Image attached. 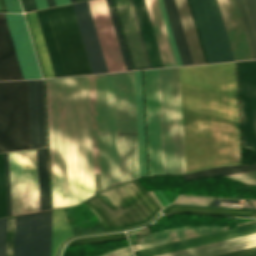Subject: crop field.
Here are the masks:
<instances>
[{"mask_svg":"<svg viewBox=\"0 0 256 256\" xmlns=\"http://www.w3.org/2000/svg\"><path fill=\"white\" fill-rule=\"evenodd\" d=\"M159 3H160V6H161V10H162V13H163V17H164V20H165L166 27H167V30H168V34H169V37H170L172 48H173V51H174V54H175L177 65L180 66L182 64H181V60H180L179 53H178V50H177V46H176V43H175V39H174V36H173V32H172V29H171V25H170V22H169V19H168V15H167V12H166L164 1L159 0Z\"/></svg>","mask_w":256,"mask_h":256,"instance_id":"b54c1fbb","label":"crop field"},{"mask_svg":"<svg viewBox=\"0 0 256 256\" xmlns=\"http://www.w3.org/2000/svg\"><path fill=\"white\" fill-rule=\"evenodd\" d=\"M112 254H113V256H131L130 250H129L128 246L122 247V248H118V249L112 251ZM101 256H112V255L109 252V253H106V254L101 255Z\"/></svg>","mask_w":256,"mask_h":256,"instance_id":"dbb93151","label":"crop field"},{"mask_svg":"<svg viewBox=\"0 0 256 256\" xmlns=\"http://www.w3.org/2000/svg\"><path fill=\"white\" fill-rule=\"evenodd\" d=\"M77 1H79V0H77Z\"/></svg>","mask_w":256,"mask_h":256,"instance_id":"0f1d7ab4","label":"crop field"},{"mask_svg":"<svg viewBox=\"0 0 256 256\" xmlns=\"http://www.w3.org/2000/svg\"><path fill=\"white\" fill-rule=\"evenodd\" d=\"M165 67L177 66L158 0H146Z\"/></svg>","mask_w":256,"mask_h":256,"instance_id":"a9b5d70f","label":"crop field"},{"mask_svg":"<svg viewBox=\"0 0 256 256\" xmlns=\"http://www.w3.org/2000/svg\"><path fill=\"white\" fill-rule=\"evenodd\" d=\"M150 175L164 174L158 69L144 71Z\"/></svg>","mask_w":256,"mask_h":256,"instance_id":"3316defc","label":"crop field"},{"mask_svg":"<svg viewBox=\"0 0 256 256\" xmlns=\"http://www.w3.org/2000/svg\"><path fill=\"white\" fill-rule=\"evenodd\" d=\"M29 148L27 81L0 82V152Z\"/></svg>","mask_w":256,"mask_h":256,"instance_id":"412701ff","label":"crop field"},{"mask_svg":"<svg viewBox=\"0 0 256 256\" xmlns=\"http://www.w3.org/2000/svg\"><path fill=\"white\" fill-rule=\"evenodd\" d=\"M129 48L134 69H145L147 63L142 50L134 18L128 0H114Z\"/></svg>","mask_w":256,"mask_h":256,"instance_id":"733c2abd","label":"crop field"},{"mask_svg":"<svg viewBox=\"0 0 256 256\" xmlns=\"http://www.w3.org/2000/svg\"><path fill=\"white\" fill-rule=\"evenodd\" d=\"M228 227H212V226H194V227H178L166 231L153 233L142 237L140 243L132 245L133 251L153 247L165 243H170L182 239L200 236L212 232L225 230Z\"/></svg>","mask_w":256,"mask_h":256,"instance_id":"4a817a6b","label":"crop field"},{"mask_svg":"<svg viewBox=\"0 0 256 256\" xmlns=\"http://www.w3.org/2000/svg\"><path fill=\"white\" fill-rule=\"evenodd\" d=\"M255 212L256 211L193 208V207H170V208L166 209L164 214L192 213V214H209V215L251 217Z\"/></svg>","mask_w":256,"mask_h":256,"instance_id":"028f5c9d","label":"crop field"},{"mask_svg":"<svg viewBox=\"0 0 256 256\" xmlns=\"http://www.w3.org/2000/svg\"><path fill=\"white\" fill-rule=\"evenodd\" d=\"M39 147L46 146L42 80L35 81Z\"/></svg>","mask_w":256,"mask_h":256,"instance_id":"0bd39190","label":"crop field"},{"mask_svg":"<svg viewBox=\"0 0 256 256\" xmlns=\"http://www.w3.org/2000/svg\"><path fill=\"white\" fill-rule=\"evenodd\" d=\"M47 2H48V6H49V7L56 6L54 0H47Z\"/></svg>","mask_w":256,"mask_h":256,"instance_id":"0765c3eb","label":"crop field"},{"mask_svg":"<svg viewBox=\"0 0 256 256\" xmlns=\"http://www.w3.org/2000/svg\"><path fill=\"white\" fill-rule=\"evenodd\" d=\"M243 147L256 151V60L238 62Z\"/></svg>","mask_w":256,"mask_h":256,"instance_id":"28ad6ade","label":"crop field"},{"mask_svg":"<svg viewBox=\"0 0 256 256\" xmlns=\"http://www.w3.org/2000/svg\"><path fill=\"white\" fill-rule=\"evenodd\" d=\"M24 79L41 78L23 15L5 14Z\"/></svg>","mask_w":256,"mask_h":256,"instance_id":"22f410ed","label":"crop field"},{"mask_svg":"<svg viewBox=\"0 0 256 256\" xmlns=\"http://www.w3.org/2000/svg\"><path fill=\"white\" fill-rule=\"evenodd\" d=\"M52 210L16 216L14 256H50Z\"/></svg>","mask_w":256,"mask_h":256,"instance_id":"5a996713","label":"crop field"},{"mask_svg":"<svg viewBox=\"0 0 256 256\" xmlns=\"http://www.w3.org/2000/svg\"><path fill=\"white\" fill-rule=\"evenodd\" d=\"M32 148L38 147L34 81H28Z\"/></svg>","mask_w":256,"mask_h":256,"instance_id":"b80d0937","label":"crop field"},{"mask_svg":"<svg viewBox=\"0 0 256 256\" xmlns=\"http://www.w3.org/2000/svg\"><path fill=\"white\" fill-rule=\"evenodd\" d=\"M55 1L57 6L70 3L69 0H55Z\"/></svg>","mask_w":256,"mask_h":256,"instance_id":"447ae74e","label":"crop field"},{"mask_svg":"<svg viewBox=\"0 0 256 256\" xmlns=\"http://www.w3.org/2000/svg\"><path fill=\"white\" fill-rule=\"evenodd\" d=\"M89 84H90L91 118H92V134H93L94 168H95V176H97V175H100V167H99L94 75L89 76ZM95 186H96V193L100 192L101 191L100 176L95 177Z\"/></svg>","mask_w":256,"mask_h":256,"instance_id":"120bbe31","label":"crop field"},{"mask_svg":"<svg viewBox=\"0 0 256 256\" xmlns=\"http://www.w3.org/2000/svg\"><path fill=\"white\" fill-rule=\"evenodd\" d=\"M251 203L254 205V207L256 208V201L250 200Z\"/></svg>","mask_w":256,"mask_h":256,"instance_id":"db79e9e6","label":"crop field"},{"mask_svg":"<svg viewBox=\"0 0 256 256\" xmlns=\"http://www.w3.org/2000/svg\"><path fill=\"white\" fill-rule=\"evenodd\" d=\"M140 177L147 175L141 71L134 72Z\"/></svg>","mask_w":256,"mask_h":256,"instance_id":"730fd06b","label":"crop field"},{"mask_svg":"<svg viewBox=\"0 0 256 256\" xmlns=\"http://www.w3.org/2000/svg\"><path fill=\"white\" fill-rule=\"evenodd\" d=\"M213 198L196 197V196H180L174 204L200 205L207 206Z\"/></svg>","mask_w":256,"mask_h":256,"instance_id":"5d738f31","label":"crop field"},{"mask_svg":"<svg viewBox=\"0 0 256 256\" xmlns=\"http://www.w3.org/2000/svg\"><path fill=\"white\" fill-rule=\"evenodd\" d=\"M12 215L23 213L20 151L9 153Z\"/></svg>","mask_w":256,"mask_h":256,"instance_id":"ae1a2a85","label":"crop field"},{"mask_svg":"<svg viewBox=\"0 0 256 256\" xmlns=\"http://www.w3.org/2000/svg\"><path fill=\"white\" fill-rule=\"evenodd\" d=\"M119 74V73H118ZM128 130H136L133 73L124 74ZM118 131H126L123 74L115 75ZM136 131L118 132L132 133ZM131 178L139 175L137 133L128 134ZM121 182L129 179L126 134L118 135ZM139 177V176H138ZM135 177V178H138ZM132 178V179H135ZM130 179V180H132Z\"/></svg>","mask_w":256,"mask_h":256,"instance_id":"e52e79f7","label":"crop field"},{"mask_svg":"<svg viewBox=\"0 0 256 256\" xmlns=\"http://www.w3.org/2000/svg\"><path fill=\"white\" fill-rule=\"evenodd\" d=\"M5 216H7V209H6L4 161H3V153H0V217H5Z\"/></svg>","mask_w":256,"mask_h":256,"instance_id":"03da06ac","label":"crop field"},{"mask_svg":"<svg viewBox=\"0 0 256 256\" xmlns=\"http://www.w3.org/2000/svg\"><path fill=\"white\" fill-rule=\"evenodd\" d=\"M35 1L38 9L48 7L46 0H35Z\"/></svg>","mask_w":256,"mask_h":256,"instance_id":"9d1cf04e","label":"crop field"},{"mask_svg":"<svg viewBox=\"0 0 256 256\" xmlns=\"http://www.w3.org/2000/svg\"><path fill=\"white\" fill-rule=\"evenodd\" d=\"M84 203L98 217L105 231L145 223L160 210L137 180L112 187Z\"/></svg>","mask_w":256,"mask_h":256,"instance_id":"34b2d1b8","label":"crop field"},{"mask_svg":"<svg viewBox=\"0 0 256 256\" xmlns=\"http://www.w3.org/2000/svg\"><path fill=\"white\" fill-rule=\"evenodd\" d=\"M46 11L65 75L92 73L72 5L69 4Z\"/></svg>","mask_w":256,"mask_h":256,"instance_id":"dd49c442","label":"crop field"},{"mask_svg":"<svg viewBox=\"0 0 256 256\" xmlns=\"http://www.w3.org/2000/svg\"><path fill=\"white\" fill-rule=\"evenodd\" d=\"M76 0H70V2L72 3V2H75Z\"/></svg>","mask_w":256,"mask_h":256,"instance_id":"78b8030e","label":"crop field"},{"mask_svg":"<svg viewBox=\"0 0 256 256\" xmlns=\"http://www.w3.org/2000/svg\"><path fill=\"white\" fill-rule=\"evenodd\" d=\"M124 238H126L124 232H120V233H112V234L78 238L76 240L71 241L68 244L70 246L75 244H94V243H103L107 241L124 239Z\"/></svg>","mask_w":256,"mask_h":256,"instance_id":"c21b1889","label":"crop field"},{"mask_svg":"<svg viewBox=\"0 0 256 256\" xmlns=\"http://www.w3.org/2000/svg\"><path fill=\"white\" fill-rule=\"evenodd\" d=\"M218 256H256V247L235 251L227 254H222Z\"/></svg>","mask_w":256,"mask_h":256,"instance_id":"1f2cbd36","label":"crop field"},{"mask_svg":"<svg viewBox=\"0 0 256 256\" xmlns=\"http://www.w3.org/2000/svg\"><path fill=\"white\" fill-rule=\"evenodd\" d=\"M27 15H28V19H29V22H30V25H31V29H32V32H33L35 43H36V46H37V49H38V53H39V56H40L42 67H43V70H44V73H45V77L46 78L54 77L52 69H51V65H50V62H49V58H48V55H47V51H46V48H45V45H44V41H43V38H42V34H41V31H40V27H39V24H38V20H37V17H36V13L33 12V13H29Z\"/></svg>","mask_w":256,"mask_h":256,"instance_id":"5866460e","label":"crop field"},{"mask_svg":"<svg viewBox=\"0 0 256 256\" xmlns=\"http://www.w3.org/2000/svg\"><path fill=\"white\" fill-rule=\"evenodd\" d=\"M235 60L253 59L236 0H218Z\"/></svg>","mask_w":256,"mask_h":256,"instance_id":"5142ce71","label":"crop field"},{"mask_svg":"<svg viewBox=\"0 0 256 256\" xmlns=\"http://www.w3.org/2000/svg\"><path fill=\"white\" fill-rule=\"evenodd\" d=\"M53 209L95 194L88 76L46 80Z\"/></svg>","mask_w":256,"mask_h":256,"instance_id":"ac0d7876","label":"crop field"},{"mask_svg":"<svg viewBox=\"0 0 256 256\" xmlns=\"http://www.w3.org/2000/svg\"><path fill=\"white\" fill-rule=\"evenodd\" d=\"M5 4L8 12H22L19 0H5ZM5 4L3 0H0V12H7Z\"/></svg>","mask_w":256,"mask_h":256,"instance_id":"73cf0c24","label":"crop field"},{"mask_svg":"<svg viewBox=\"0 0 256 256\" xmlns=\"http://www.w3.org/2000/svg\"><path fill=\"white\" fill-rule=\"evenodd\" d=\"M165 174L184 173L178 68L160 69Z\"/></svg>","mask_w":256,"mask_h":256,"instance_id":"f4fd0767","label":"crop field"},{"mask_svg":"<svg viewBox=\"0 0 256 256\" xmlns=\"http://www.w3.org/2000/svg\"><path fill=\"white\" fill-rule=\"evenodd\" d=\"M106 2H107V6H108V9H109V12H110V16H111V19H112V22H113L114 29H115V32H116V36H117V39H118V42H119V46H120V49H121V52H122V56H123V59H124V62H125L126 69L127 70H132L129 59H128V55H127V52H126V48H125V45H124V42H123V38H122V35H121V31H120V28H119V24H118V21H117V18H116V14H115V11H114L112 1L111 0H106Z\"/></svg>","mask_w":256,"mask_h":256,"instance_id":"c035e120","label":"crop field"},{"mask_svg":"<svg viewBox=\"0 0 256 256\" xmlns=\"http://www.w3.org/2000/svg\"><path fill=\"white\" fill-rule=\"evenodd\" d=\"M152 68L164 67L145 0H132Z\"/></svg>","mask_w":256,"mask_h":256,"instance_id":"00972430","label":"crop field"},{"mask_svg":"<svg viewBox=\"0 0 256 256\" xmlns=\"http://www.w3.org/2000/svg\"><path fill=\"white\" fill-rule=\"evenodd\" d=\"M253 246H256V234H251L160 256H213Z\"/></svg>","mask_w":256,"mask_h":256,"instance_id":"dafd665d","label":"crop field"},{"mask_svg":"<svg viewBox=\"0 0 256 256\" xmlns=\"http://www.w3.org/2000/svg\"><path fill=\"white\" fill-rule=\"evenodd\" d=\"M7 218L0 219V256L6 254Z\"/></svg>","mask_w":256,"mask_h":256,"instance_id":"25e5ab78","label":"crop field"},{"mask_svg":"<svg viewBox=\"0 0 256 256\" xmlns=\"http://www.w3.org/2000/svg\"><path fill=\"white\" fill-rule=\"evenodd\" d=\"M253 58L256 59V0H237Z\"/></svg>","mask_w":256,"mask_h":256,"instance_id":"bd1437ed","label":"crop field"},{"mask_svg":"<svg viewBox=\"0 0 256 256\" xmlns=\"http://www.w3.org/2000/svg\"><path fill=\"white\" fill-rule=\"evenodd\" d=\"M186 39L194 64L205 63L194 28L187 0H176Z\"/></svg>","mask_w":256,"mask_h":256,"instance_id":"eef30255","label":"crop field"},{"mask_svg":"<svg viewBox=\"0 0 256 256\" xmlns=\"http://www.w3.org/2000/svg\"><path fill=\"white\" fill-rule=\"evenodd\" d=\"M256 170V164L252 165H237V166H224V167H217L207 170H202L198 172L184 174V179H194L200 177H211V176H219V175H226L244 171Z\"/></svg>","mask_w":256,"mask_h":256,"instance_id":"e1f06a70","label":"crop field"},{"mask_svg":"<svg viewBox=\"0 0 256 256\" xmlns=\"http://www.w3.org/2000/svg\"><path fill=\"white\" fill-rule=\"evenodd\" d=\"M227 177H230L248 184L256 185V171L244 172V173H239L234 175H227Z\"/></svg>","mask_w":256,"mask_h":256,"instance_id":"425ffa30","label":"crop field"},{"mask_svg":"<svg viewBox=\"0 0 256 256\" xmlns=\"http://www.w3.org/2000/svg\"><path fill=\"white\" fill-rule=\"evenodd\" d=\"M71 236L64 209L53 210L51 256H55L59 244Z\"/></svg>","mask_w":256,"mask_h":256,"instance_id":"1d83c4d3","label":"crop field"},{"mask_svg":"<svg viewBox=\"0 0 256 256\" xmlns=\"http://www.w3.org/2000/svg\"><path fill=\"white\" fill-rule=\"evenodd\" d=\"M185 173L241 164L235 62L179 68Z\"/></svg>","mask_w":256,"mask_h":256,"instance_id":"8a807250","label":"crop field"},{"mask_svg":"<svg viewBox=\"0 0 256 256\" xmlns=\"http://www.w3.org/2000/svg\"><path fill=\"white\" fill-rule=\"evenodd\" d=\"M23 4L26 12L34 10L31 0H23Z\"/></svg>","mask_w":256,"mask_h":256,"instance_id":"1d79db26","label":"crop field"},{"mask_svg":"<svg viewBox=\"0 0 256 256\" xmlns=\"http://www.w3.org/2000/svg\"><path fill=\"white\" fill-rule=\"evenodd\" d=\"M32 2H33V5H34V9L36 10L37 8H36L35 1H34V0H32Z\"/></svg>","mask_w":256,"mask_h":256,"instance_id":"7b73153f","label":"crop field"},{"mask_svg":"<svg viewBox=\"0 0 256 256\" xmlns=\"http://www.w3.org/2000/svg\"><path fill=\"white\" fill-rule=\"evenodd\" d=\"M256 233V224L243 226L239 228L229 229L224 232L215 233L207 236L184 240L176 243L153 247L145 250L136 251L135 256H156L238 236Z\"/></svg>","mask_w":256,"mask_h":256,"instance_id":"d9b57169","label":"crop field"},{"mask_svg":"<svg viewBox=\"0 0 256 256\" xmlns=\"http://www.w3.org/2000/svg\"><path fill=\"white\" fill-rule=\"evenodd\" d=\"M183 65L193 64L175 0H164Z\"/></svg>","mask_w":256,"mask_h":256,"instance_id":"d3111659","label":"crop field"},{"mask_svg":"<svg viewBox=\"0 0 256 256\" xmlns=\"http://www.w3.org/2000/svg\"><path fill=\"white\" fill-rule=\"evenodd\" d=\"M14 228H15V216L8 218V230H7V255L13 256L14 252Z\"/></svg>","mask_w":256,"mask_h":256,"instance_id":"d23c7cc5","label":"crop field"},{"mask_svg":"<svg viewBox=\"0 0 256 256\" xmlns=\"http://www.w3.org/2000/svg\"><path fill=\"white\" fill-rule=\"evenodd\" d=\"M24 213L39 210L36 150L21 151Z\"/></svg>","mask_w":256,"mask_h":256,"instance_id":"bc2a9ffb","label":"crop field"},{"mask_svg":"<svg viewBox=\"0 0 256 256\" xmlns=\"http://www.w3.org/2000/svg\"><path fill=\"white\" fill-rule=\"evenodd\" d=\"M99 75H104V74H99ZM95 76H97V75H95ZM101 85H102V104H103V124H104V133H106V132H108V130H107V114H106V98H105L104 76H101ZM96 86H97V105H98L99 133H102L99 76L96 77ZM100 135H108V133H106V134H99V136ZM104 144H105L106 178H107V186H108V185H111L108 136H104ZM99 145H100L101 181H102V188H104L105 187V179L106 178L104 179V162H103L102 136L99 137ZM108 187H110V186H108ZM108 187H106V188H108Z\"/></svg>","mask_w":256,"mask_h":256,"instance_id":"4177f3b9","label":"crop field"},{"mask_svg":"<svg viewBox=\"0 0 256 256\" xmlns=\"http://www.w3.org/2000/svg\"><path fill=\"white\" fill-rule=\"evenodd\" d=\"M23 79L4 14H0V80Z\"/></svg>","mask_w":256,"mask_h":256,"instance_id":"214f88e0","label":"crop field"},{"mask_svg":"<svg viewBox=\"0 0 256 256\" xmlns=\"http://www.w3.org/2000/svg\"><path fill=\"white\" fill-rule=\"evenodd\" d=\"M5 160V176H6V192H7V208L8 216L11 215V205H10V184H9V163H8V153H4Z\"/></svg>","mask_w":256,"mask_h":256,"instance_id":"89e229c0","label":"crop field"},{"mask_svg":"<svg viewBox=\"0 0 256 256\" xmlns=\"http://www.w3.org/2000/svg\"><path fill=\"white\" fill-rule=\"evenodd\" d=\"M93 73L108 72L88 2L72 4Z\"/></svg>","mask_w":256,"mask_h":256,"instance_id":"cbeb9de0","label":"crop field"},{"mask_svg":"<svg viewBox=\"0 0 256 256\" xmlns=\"http://www.w3.org/2000/svg\"><path fill=\"white\" fill-rule=\"evenodd\" d=\"M129 1H130V5H131V8H132V11H133V15H134V18H135L137 29H138V32H139V36H140V39H141V43H142V46H143V49H144V53H145V56H146L148 67L151 68L149 60H148V56H147V53H146V50H145V46H144V43H143V39H142V36H141V32H140V29H139V25H138V22H137V18H136L135 12H134V8H133V5H132V1L131 0H129Z\"/></svg>","mask_w":256,"mask_h":256,"instance_id":"0fb4a251","label":"crop field"},{"mask_svg":"<svg viewBox=\"0 0 256 256\" xmlns=\"http://www.w3.org/2000/svg\"><path fill=\"white\" fill-rule=\"evenodd\" d=\"M36 13H37V17L39 20L42 34H43V38L46 44L52 69L54 72V76L55 77L65 76L62 65H61V61L58 55V51L55 45V41L52 35V31L49 25V21L46 15V11L43 10V11H38Z\"/></svg>","mask_w":256,"mask_h":256,"instance_id":"750c4746","label":"crop field"},{"mask_svg":"<svg viewBox=\"0 0 256 256\" xmlns=\"http://www.w3.org/2000/svg\"><path fill=\"white\" fill-rule=\"evenodd\" d=\"M88 2L108 71L126 70L105 0H90Z\"/></svg>","mask_w":256,"mask_h":256,"instance_id":"d1516ede","label":"crop field"},{"mask_svg":"<svg viewBox=\"0 0 256 256\" xmlns=\"http://www.w3.org/2000/svg\"><path fill=\"white\" fill-rule=\"evenodd\" d=\"M40 210L50 209L46 148L37 150Z\"/></svg>","mask_w":256,"mask_h":256,"instance_id":"d32e631a","label":"crop field"},{"mask_svg":"<svg viewBox=\"0 0 256 256\" xmlns=\"http://www.w3.org/2000/svg\"><path fill=\"white\" fill-rule=\"evenodd\" d=\"M208 63L234 60L216 0H190Z\"/></svg>","mask_w":256,"mask_h":256,"instance_id":"d8731c3e","label":"crop field"},{"mask_svg":"<svg viewBox=\"0 0 256 256\" xmlns=\"http://www.w3.org/2000/svg\"><path fill=\"white\" fill-rule=\"evenodd\" d=\"M112 186L120 183L113 74H105Z\"/></svg>","mask_w":256,"mask_h":256,"instance_id":"92a150f3","label":"crop field"}]
</instances>
